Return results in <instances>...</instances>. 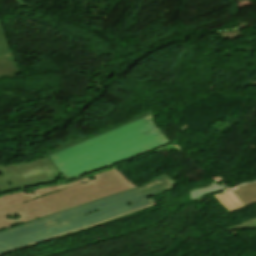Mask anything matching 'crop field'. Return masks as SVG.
Returning <instances> with one entry per match:
<instances>
[{
    "mask_svg": "<svg viewBox=\"0 0 256 256\" xmlns=\"http://www.w3.org/2000/svg\"><path fill=\"white\" fill-rule=\"evenodd\" d=\"M175 184L164 174L140 187L0 231V255L148 209L158 204L150 195L171 190Z\"/></svg>",
    "mask_w": 256,
    "mask_h": 256,
    "instance_id": "1",
    "label": "crop field"
},
{
    "mask_svg": "<svg viewBox=\"0 0 256 256\" xmlns=\"http://www.w3.org/2000/svg\"><path fill=\"white\" fill-rule=\"evenodd\" d=\"M171 142L151 114L83 142L61 149L47 158L67 180L99 171Z\"/></svg>",
    "mask_w": 256,
    "mask_h": 256,
    "instance_id": "2",
    "label": "crop field"
},
{
    "mask_svg": "<svg viewBox=\"0 0 256 256\" xmlns=\"http://www.w3.org/2000/svg\"><path fill=\"white\" fill-rule=\"evenodd\" d=\"M136 187L117 167L70 183L0 196V230Z\"/></svg>",
    "mask_w": 256,
    "mask_h": 256,
    "instance_id": "3",
    "label": "crop field"
},
{
    "mask_svg": "<svg viewBox=\"0 0 256 256\" xmlns=\"http://www.w3.org/2000/svg\"><path fill=\"white\" fill-rule=\"evenodd\" d=\"M60 174L43 155L35 160L0 165V194L50 184Z\"/></svg>",
    "mask_w": 256,
    "mask_h": 256,
    "instance_id": "4",
    "label": "crop field"
},
{
    "mask_svg": "<svg viewBox=\"0 0 256 256\" xmlns=\"http://www.w3.org/2000/svg\"><path fill=\"white\" fill-rule=\"evenodd\" d=\"M20 75L15 58L13 57L7 34L0 21V76Z\"/></svg>",
    "mask_w": 256,
    "mask_h": 256,
    "instance_id": "5",
    "label": "crop field"
},
{
    "mask_svg": "<svg viewBox=\"0 0 256 256\" xmlns=\"http://www.w3.org/2000/svg\"><path fill=\"white\" fill-rule=\"evenodd\" d=\"M222 206L228 210L230 213L246 207L242 201L232 192H226L214 196Z\"/></svg>",
    "mask_w": 256,
    "mask_h": 256,
    "instance_id": "6",
    "label": "crop field"
},
{
    "mask_svg": "<svg viewBox=\"0 0 256 256\" xmlns=\"http://www.w3.org/2000/svg\"><path fill=\"white\" fill-rule=\"evenodd\" d=\"M233 192L247 206L256 203V182L240 186L238 190Z\"/></svg>",
    "mask_w": 256,
    "mask_h": 256,
    "instance_id": "7",
    "label": "crop field"
},
{
    "mask_svg": "<svg viewBox=\"0 0 256 256\" xmlns=\"http://www.w3.org/2000/svg\"><path fill=\"white\" fill-rule=\"evenodd\" d=\"M210 184L211 185L206 188H198V189H194L193 191H190V199L198 200L205 195L219 192L226 189V187L221 186L215 182H210Z\"/></svg>",
    "mask_w": 256,
    "mask_h": 256,
    "instance_id": "8",
    "label": "crop field"
},
{
    "mask_svg": "<svg viewBox=\"0 0 256 256\" xmlns=\"http://www.w3.org/2000/svg\"><path fill=\"white\" fill-rule=\"evenodd\" d=\"M149 113H151V112H150V111L144 112V113L138 115L137 117L133 118L132 120H134V119H136V118H139V117H142V116H144V115H147V114H149ZM132 120H131V121H132ZM129 122H130V121H129ZM124 124H125V123H124ZM122 125H123V124H122ZM112 128H115V127H110V129H112ZM110 129H109V130H110ZM105 131H106V130H105ZM107 131H108V130H107ZM101 133H103V132H101ZM95 135H97V134H93L92 136H95ZM85 139H87V137H85V136L80 137V138H78V139H76V140H74V141H72V142H70V143H68V144L61 145V146L58 147L57 149L55 148V150H53V151L46 152V155H48V154H50V153H53V152H55V151H57V150H59V149H61V148L68 147V146H70V145H72V144H75V143H77V142L83 141V140H85Z\"/></svg>",
    "mask_w": 256,
    "mask_h": 256,
    "instance_id": "9",
    "label": "crop field"
},
{
    "mask_svg": "<svg viewBox=\"0 0 256 256\" xmlns=\"http://www.w3.org/2000/svg\"><path fill=\"white\" fill-rule=\"evenodd\" d=\"M228 229H256V218L250 219Z\"/></svg>",
    "mask_w": 256,
    "mask_h": 256,
    "instance_id": "10",
    "label": "crop field"
},
{
    "mask_svg": "<svg viewBox=\"0 0 256 256\" xmlns=\"http://www.w3.org/2000/svg\"><path fill=\"white\" fill-rule=\"evenodd\" d=\"M17 1L21 6H30L28 3H26L24 0H15Z\"/></svg>",
    "mask_w": 256,
    "mask_h": 256,
    "instance_id": "11",
    "label": "crop field"
},
{
    "mask_svg": "<svg viewBox=\"0 0 256 256\" xmlns=\"http://www.w3.org/2000/svg\"><path fill=\"white\" fill-rule=\"evenodd\" d=\"M237 188H238V187H237ZM237 188H234V189H231V190L233 191V190H235V189H237Z\"/></svg>",
    "mask_w": 256,
    "mask_h": 256,
    "instance_id": "12",
    "label": "crop field"
}]
</instances>
